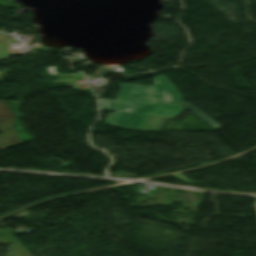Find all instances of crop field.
Segmentation results:
<instances>
[{
    "label": "crop field",
    "mask_w": 256,
    "mask_h": 256,
    "mask_svg": "<svg viewBox=\"0 0 256 256\" xmlns=\"http://www.w3.org/2000/svg\"><path fill=\"white\" fill-rule=\"evenodd\" d=\"M154 80L153 86L120 84L121 93L117 95V101L99 99L101 109L116 111L110 113L105 123L126 129L147 130L152 123L151 120H148L143 129L141 127L149 115L174 119L185 111L178 104L157 102L158 100L175 102L183 100L181 93L164 75L156 76ZM182 105L215 130L221 128L188 102Z\"/></svg>",
    "instance_id": "obj_1"
},
{
    "label": "crop field",
    "mask_w": 256,
    "mask_h": 256,
    "mask_svg": "<svg viewBox=\"0 0 256 256\" xmlns=\"http://www.w3.org/2000/svg\"><path fill=\"white\" fill-rule=\"evenodd\" d=\"M149 119L154 120L151 126L148 128V130H152V131H159V129L162 127V125L165 122V119L152 117V116H150Z\"/></svg>",
    "instance_id": "obj_2"
}]
</instances>
